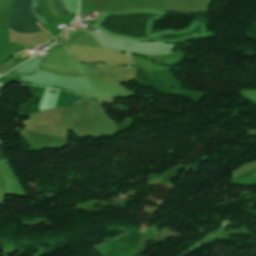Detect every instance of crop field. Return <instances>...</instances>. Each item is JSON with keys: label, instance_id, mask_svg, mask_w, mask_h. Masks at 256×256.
<instances>
[{"label": "crop field", "instance_id": "obj_1", "mask_svg": "<svg viewBox=\"0 0 256 256\" xmlns=\"http://www.w3.org/2000/svg\"><path fill=\"white\" fill-rule=\"evenodd\" d=\"M20 12L24 18V20L30 25V27L35 31H42L44 28L47 30L45 27H43L40 22L37 24L42 28H40L35 22L38 21L34 14L31 11V0H20ZM19 13V0H15L13 5H12V16L10 20V25L9 27L17 30L18 32H25V33H32L34 32L29 25L24 21ZM43 29V30H44ZM16 31V32H17Z\"/></svg>", "mask_w": 256, "mask_h": 256}, {"label": "crop field", "instance_id": "obj_2", "mask_svg": "<svg viewBox=\"0 0 256 256\" xmlns=\"http://www.w3.org/2000/svg\"><path fill=\"white\" fill-rule=\"evenodd\" d=\"M41 0H33L32 8L33 12L36 14V16L39 18V20L42 22V24L48 22L49 20L47 17L43 14L40 7ZM52 7L54 10L58 13V15H62L65 12H69L63 5L62 0H51Z\"/></svg>", "mask_w": 256, "mask_h": 256}]
</instances>
